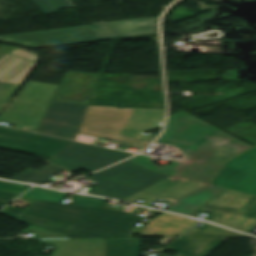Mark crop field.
<instances>
[{
	"label": "crop field",
	"instance_id": "obj_26",
	"mask_svg": "<svg viewBox=\"0 0 256 256\" xmlns=\"http://www.w3.org/2000/svg\"><path fill=\"white\" fill-rule=\"evenodd\" d=\"M30 187L31 186H24V185H20V184L0 182V190H4V191L23 193Z\"/></svg>",
	"mask_w": 256,
	"mask_h": 256
},
{
	"label": "crop field",
	"instance_id": "obj_12",
	"mask_svg": "<svg viewBox=\"0 0 256 256\" xmlns=\"http://www.w3.org/2000/svg\"><path fill=\"white\" fill-rule=\"evenodd\" d=\"M209 184L256 195V146L228 160Z\"/></svg>",
	"mask_w": 256,
	"mask_h": 256
},
{
	"label": "crop field",
	"instance_id": "obj_9",
	"mask_svg": "<svg viewBox=\"0 0 256 256\" xmlns=\"http://www.w3.org/2000/svg\"><path fill=\"white\" fill-rule=\"evenodd\" d=\"M158 141L176 145L183 149L184 160L180 163L174 162L162 168L151 164V162L156 159L144 157L142 155L128 161L152 170L154 172L166 175H174L206 184L209 183V181L226 162V160H223L221 158L212 156L210 154L201 152L199 150L190 148L188 146L179 144L163 137H161Z\"/></svg>",
	"mask_w": 256,
	"mask_h": 256
},
{
	"label": "crop field",
	"instance_id": "obj_23",
	"mask_svg": "<svg viewBox=\"0 0 256 256\" xmlns=\"http://www.w3.org/2000/svg\"><path fill=\"white\" fill-rule=\"evenodd\" d=\"M66 196H67V194H65V193H59L57 191L35 187L34 189L29 191L22 197L56 202V203H62V201L65 199Z\"/></svg>",
	"mask_w": 256,
	"mask_h": 256
},
{
	"label": "crop field",
	"instance_id": "obj_15",
	"mask_svg": "<svg viewBox=\"0 0 256 256\" xmlns=\"http://www.w3.org/2000/svg\"><path fill=\"white\" fill-rule=\"evenodd\" d=\"M58 86L30 81L6 111L43 118ZM27 102L30 105H25Z\"/></svg>",
	"mask_w": 256,
	"mask_h": 256
},
{
	"label": "crop field",
	"instance_id": "obj_19",
	"mask_svg": "<svg viewBox=\"0 0 256 256\" xmlns=\"http://www.w3.org/2000/svg\"><path fill=\"white\" fill-rule=\"evenodd\" d=\"M140 239L106 238V256H139Z\"/></svg>",
	"mask_w": 256,
	"mask_h": 256
},
{
	"label": "crop field",
	"instance_id": "obj_7",
	"mask_svg": "<svg viewBox=\"0 0 256 256\" xmlns=\"http://www.w3.org/2000/svg\"><path fill=\"white\" fill-rule=\"evenodd\" d=\"M208 210L213 215L209 221L244 232L256 228V196L224 189L190 216Z\"/></svg>",
	"mask_w": 256,
	"mask_h": 256
},
{
	"label": "crop field",
	"instance_id": "obj_29",
	"mask_svg": "<svg viewBox=\"0 0 256 256\" xmlns=\"http://www.w3.org/2000/svg\"><path fill=\"white\" fill-rule=\"evenodd\" d=\"M254 256H256V252H255Z\"/></svg>",
	"mask_w": 256,
	"mask_h": 256
},
{
	"label": "crop field",
	"instance_id": "obj_18",
	"mask_svg": "<svg viewBox=\"0 0 256 256\" xmlns=\"http://www.w3.org/2000/svg\"><path fill=\"white\" fill-rule=\"evenodd\" d=\"M226 239L179 237L165 249L178 252L175 256H207Z\"/></svg>",
	"mask_w": 256,
	"mask_h": 256
},
{
	"label": "crop field",
	"instance_id": "obj_24",
	"mask_svg": "<svg viewBox=\"0 0 256 256\" xmlns=\"http://www.w3.org/2000/svg\"><path fill=\"white\" fill-rule=\"evenodd\" d=\"M58 8L75 6L70 0H52ZM44 14L57 13L56 8L50 0H34Z\"/></svg>",
	"mask_w": 256,
	"mask_h": 256
},
{
	"label": "crop field",
	"instance_id": "obj_8",
	"mask_svg": "<svg viewBox=\"0 0 256 256\" xmlns=\"http://www.w3.org/2000/svg\"><path fill=\"white\" fill-rule=\"evenodd\" d=\"M166 177L126 161L86 178L97 181L89 194L125 199Z\"/></svg>",
	"mask_w": 256,
	"mask_h": 256
},
{
	"label": "crop field",
	"instance_id": "obj_6",
	"mask_svg": "<svg viewBox=\"0 0 256 256\" xmlns=\"http://www.w3.org/2000/svg\"><path fill=\"white\" fill-rule=\"evenodd\" d=\"M31 203L25 210L7 206L0 214L19 222L67 234L87 207L23 199Z\"/></svg>",
	"mask_w": 256,
	"mask_h": 256
},
{
	"label": "crop field",
	"instance_id": "obj_2",
	"mask_svg": "<svg viewBox=\"0 0 256 256\" xmlns=\"http://www.w3.org/2000/svg\"><path fill=\"white\" fill-rule=\"evenodd\" d=\"M98 75L67 71L37 132L74 140Z\"/></svg>",
	"mask_w": 256,
	"mask_h": 256
},
{
	"label": "crop field",
	"instance_id": "obj_17",
	"mask_svg": "<svg viewBox=\"0 0 256 256\" xmlns=\"http://www.w3.org/2000/svg\"><path fill=\"white\" fill-rule=\"evenodd\" d=\"M196 223L187 218L162 213L150 219L138 236H177Z\"/></svg>",
	"mask_w": 256,
	"mask_h": 256
},
{
	"label": "crop field",
	"instance_id": "obj_28",
	"mask_svg": "<svg viewBox=\"0 0 256 256\" xmlns=\"http://www.w3.org/2000/svg\"><path fill=\"white\" fill-rule=\"evenodd\" d=\"M8 202H0V208H2L3 206H5Z\"/></svg>",
	"mask_w": 256,
	"mask_h": 256
},
{
	"label": "crop field",
	"instance_id": "obj_16",
	"mask_svg": "<svg viewBox=\"0 0 256 256\" xmlns=\"http://www.w3.org/2000/svg\"><path fill=\"white\" fill-rule=\"evenodd\" d=\"M37 240L56 247L50 256H105V238Z\"/></svg>",
	"mask_w": 256,
	"mask_h": 256
},
{
	"label": "crop field",
	"instance_id": "obj_21",
	"mask_svg": "<svg viewBox=\"0 0 256 256\" xmlns=\"http://www.w3.org/2000/svg\"><path fill=\"white\" fill-rule=\"evenodd\" d=\"M0 121L16 124L20 129L37 131L42 119L3 111Z\"/></svg>",
	"mask_w": 256,
	"mask_h": 256
},
{
	"label": "crop field",
	"instance_id": "obj_27",
	"mask_svg": "<svg viewBox=\"0 0 256 256\" xmlns=\"http://www.w3.org/2000/svg\"><path fill=\"white\" fill-rule=\"evenodd\" d=\"M19 193L0 191V200L11 201L15 199Z\"/></svg>",
	"mask_w": 256,
	"mask_h": 256
},
{
	"label": "crop field",
	"instance_id": "obj_10",
	"mask_svg": "<svg viewBox=\"0 0 256 256\" xmlns=\"http://www.w3.org/2000/svg\"><path fill=\"white\" fill-rule=\"evenodd\" d=\"M139 219L124 212L89 208L65 238L127 237Z\"/></svg>",
	"mask_w": 256,
	"mask_h": 256
},
{
	"label": "crop field",
	"instance_id": "obj_14",
	"mask_svg": "<svg viewBox=\"0 0 256 256\" xmlns=\"http://www.w3.org/2000/svg\"><path fill=\"white\" fill-rule=\"evenodd\" d=\"M37 59V55L18 49L0 55V111L25 80Z\"/></svg>",
	"mask_w": 256,
	"mask_h": 256
},
{
	"label": "crop field",
	"instance_id": "obj_20",
	"mask_svg": "<svg viewBox=\"0 0 256 256\" xmlns=\"http://www.w3.org/2000/svg\"><path fill=\"white\" fill-rule=\"evenodd\" d=\"M61 170L63 169H60L58 167H55L49 164L39 172L27 169L12 180H17L22 182H32L35 184H48V183L54 182L48 178L58 173Z\"/></svg>",
	"mask_w": 256,
	"mask_h": 256
},
{
	"label": "crop field",
	"instance_id": "obj_22",
	"mask_svg": "<svg viewBox=\"0 0 256 256\" xmlns=\"http://www.w3.org/2000/svg\"><path fill=\"white\" fill-rule=\"evenodd\" d=\"M182 236L196 237H248L223 228L205 223L201 228H194Z\"/></svg>",
	"mask_w": 256,
	"mask_h": 256
},
{
	"label": "crop field",
	"instance_id": "obj_25",
	"mask_svg": "<svg viewBox=\"0 0 256 256\" xmlns=\"http://www.w3.org/2000/svg\"><path fill=\"white\" fill-rule=\"evenodd\" d=\"M72 201L76 205L102 208L107 200L106 199H100V198H94V197L79 196V195L73 194Z\"/></svg>",
	"mask_w": 256,
	"mask_h": 256
},
{
	"label": "crop field",
	"instance_id": "obj_5",
	"mask_svg": "<svg viewBox=\"0 0 256 256\" xmlns=\"http://www.w3.org/2000/svg\"><path fill=\"white\" fill-rule=\"evenodd\" d=\"M221 190L222 188L170 176L124 201L135 203L141 199L145 201L140 205L146 206L158 196L166 197L178 200L168 211L189 215Z\"/></svg>",
	"mask_w": 256,
	"mask_h": 256
},
{
	"label": "crop field",
	"instance_id": "obj_1",
	"mask_svg": "<svg viewBox=\"0 0 256 256\" xmlns=\"http://www.w3.org/2000/svg\"><path fill=\"white\" fill-rule=\"evenodd\" d=\"M164 112L88 105L78 132L128 142L129 147L142 150L156 137L143 133L160 127Z\"/></svg>",
	"mask_w": 256,
	"mask_h": 256
},
{
	"label": "crop field",
	"instance_id": "obj_3",
	"mask_svg": "<svg viewBox=\"0 0 256 256\" xmlns=\"http://www.w3.org/2000/svg\"><path fill=\"white\" fill-rule=\"evenodd\" d=\"M158 17L83 27L0 36V41L16 42L29 47L103 40L156 33Z\"/></svg>",
	"mask_w": 256,
	"mask_h": 256
},
{
	"label": "crop field",
	"instance_id": "obj_11",
	"mask_svg": "<svg viewBox=\"0 0 256 256\" xmlns=\"http://www.w3.org/2000/svg\"><path fill=\"white\" fill-rule=\"evenodd\" d=\"M131 155L133 154L74 142L51 163L75 171L83 169L92 172Z\"/></svg>",
	"mask_w": 256,
	"mask_h": 256
},
{
	"label": "crop field",
	"instance_id": "obj_13",
	"mask_svg": "<svg viewBox=\"0 0 256 256\" xmlns=\"http://www.w3.org/2000/svg\"><path fill=\"white\" fill-rule=\"evenodd\" d=\"M73 141L13 130L0 126V148L54 158Z\"/></svg>",
	"mask_w": 256,
	"mask_h": 256
},
{
	"label": "crop field",
	"instance_id": "obj_4",
	"mask_svg": "<svg viewBox=\"0 0 256 256\" xmlns=\"http://www.w3.org/2000/svg\"><path fill=\"white\" fill-rule=\"evenodd\" d=\"M163 137L226 160L253 147L183 111L169 117Z\"/></svg>",
	"mask_w": 256,
	"mask_h": 256
}]
</instances>
